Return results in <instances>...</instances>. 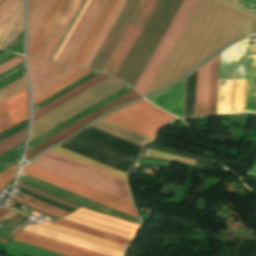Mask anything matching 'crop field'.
I'll list each match as a JSON object with an SVG mask.
<instances>
[{
    "label": "crop field",
    "instance_id": "crop-field-42",
    "mask_svg": "<svg viewBox=\"0 0 256 256\" xmlns=\"http://www.w3.org/2000/svg\"><path fill=\"white\" fill-rule=\"evenodd\" d=\"M18 165L19 164L0 173V189H2L9 181L12 180Z\"/></svg>",
    "mask_w": 256,
    "mask_h": 256
},
{
    "label": "crop field",
    "instance_id": "crop-field-21",
    "mask_svg": "<svg viewBox=\"0 0 256 256\" xmlns=\"http://www.w3.org/2000/svg\"><path fill=\"white\" fill-rule=\"evenodd\" d=\"M131 90H133V89L130 88L128 85L123 87L122 89L111 94L110 96L106 97L105 99L101 100L100 102L96 103L95 105L89 107L88 109L84 110L83 112L79 113L78 115L74 116L73 118L69 119L68 121L62 123L61 125L57 126L56 128L52 129L51 131L47 132L46 134H44V135L40 136L39 138L35 139L34 141L30 142L28 144L27 150L33 148L34 146L38 145L39 143L52 137L53 135L57 134L58 132L71 126L72 124L83 119L84 117H86L89 114L95 112L96 110L102 108L103 106L107 105L108 103L114 101L115 99L121 97L122 95L126 94L127 92H129Z\"/></svg>",
    "mask_w": 256,
    "mask_h": 256
},
{
    "label": "crop field",
    "instance_id": "crop-field-10",
    "mask_svg": "<svg viewBox=\"0 0 256 256\" xmlns=\"http://www.w3.org/2000/svg\"><path fill=\"white\" fill-rule=\"evenodd\" d=\"M62 219L132 240L138 225L79 208Z\"/></svg>",
    "mask_w": 256,
    "mask_h": 256
},
{
    "label": "crop field",
    "instance_id": "crop-field-50",
    "mask_svg": "<svg viewBox=\"0 0 256 256\" xmlns=\"http://www.w3.org/2000/svg\"><path fill=\"white\" fill-rule=\"evenodd\" d=\"M5 212H7V210H4V209L0 208V216H2Z\"/></svg>",
    "mask_w": 256,
    "mask_h": 256
},
{
    "label": "crop field",
    "instance_id": "crop-field-15",
    "mask_svg": "<svg viewBox=\"0 0 256 256\" xmlns=\"http://www.w3.org/2000/svg\"><path fill=\"white\" fill-rule=\"evenodd\" d=\"M23 27V0H5L0 5V47L5 48Z\"/></svg>",
    "mask_w": 256,
    "mask_h": 256
},
{
    "label": "crop field",
    "instance_id": "crop-field-28",
    "mask_svg": "<svg viewBox=\"0 0 256 256\" xmlns=\"http://www.w3.org/2000/svg\"><path fill=\"white\" fill-rule=\"evenodd\" d=\"M80 1L81 0H72L71 1L70 5L68 6L66 12L64 13L62 19L60 20L58 26L56 27L51 38L49 39L47 45L45 46L44 50L42 51V53L40 55L41 58L47 59L48 55L50 54L55 43L57 42L58 38L60 37L61 33L63 32V30L66 27L67 23L69 22L70 18L72 17V15H73L74 11L76 10L77 6L79 5Z\"/></svg>",
    "mask_w": 256,
    "mask_h": 256
},
{
    "label": "crop field",
    "instance_id": "crop-field-34",
    "mask_svg": "<svg viewBox=\"0 0 256 256\" xmlns=\"http://www.w3.org/2000/svg\"><path fill=\"white\" fill-rule=\"evenodd\" d=\"M25 76L23 62L0 74V88L12 83L13 81Z\"/></svg>",
    "mask_w": 256,
    "mask_h": 256
},
{
    "label": "crop field",
    "instance_id": "crop-field-16",
    "mask_svg": "<svg viewBox=\"0 0 256 256\" xmlns=\"http://www.w3.org/2000/svg\"><path fill=\"white\" fill-rule=\"evenodd\" d=\"M105 0H92L57 61L70 64Z\"/></svg>",
    "mask_w": 256,
    "mask_h": 256
},
{
    "label": "crop field",
    "instance_id": "crop-field-33",
    "mask_svg": "<svg viewBox=\"0 0 256 256\" xmlns=\"http://www.w3.org/2000/svg\"><path fill=\"white\" fill-rule=\"evenodd\" d=\"M24 142L0 155V172L20 160Z\"/></svg>",
    "mask_w": 256,
    "mask_h": 256
},
{
    "label": "crop field",
    "instance_id": "crop-field-18",
    "mask_svg": "<svg viewBox=\"0 0 256 256\" xmlns=\"http://www.w3.org/2000/svg\"><path fill=\"white\" fill-rule=\"evenodd\" d=\"M139 97H141V96L139 94H137L134 90L129 92L128 94H126V95L122 96L121 98L117 99L116 101L110 103L109 105L105 106L104 108L98 110L97 112L93 113L92 115L86 117L85 119L81 120L80 122L74 124L73 126L69 127L68 129L62 131L61 133L57 134L56 136L45 141L44 143L38 145L37 147L33 148L32 150L26 152L25 159H31L35 155H37L41 150H43L44 148L69 137L71 134H73L74 132L79 130L81 127H83L90 121L100 117L107 111H109L115 107H118L126 102L137 99Z\"/></svg>",
    "mask_w": 256,
    "mask_h": 256
},
{
    "label": "crop field",
    "instance_id": "crop-field-11",
    "mask_svg": "<svg viewBox=\"0 0 256 256\" xmlns=\"http://www.w3.org/2000/svg\"><path fill=\"white\" fill-rule=\"evenodd\" d=\"M33 95L67 77L80 67L27 58Z\"/></svg>",
    "mask_w": 256,
    "mask_h": 256
},
{
    "label": "crop field",
    "instance_id": "crop-field-23",
    "mask_svg": "<svg viewBox=\"0 0 256 256\" xmlns=\"http://www.w3.org/2000/svg\"><path fill=\"white\" fill-rule=\"evenodd\" d=\"M108 77L109 76H107L103 73L95 76L94 78L90 79L89 81L83 83L82 85L76 87L75 89L64 94L63 96L59 97L58 99L52 101L51 103L45 105L44 107L40 108L39 110L33 112L32 121L39 118L40 116L44 115L45 113L51 111L52 109L58 107L59 105L65 103L66 101L70 100L71 98L77 96L78 94L84 92L85 90L91 88L92 86L96 85L97 83L103 81L104 79H106Z\"/></svg>",
    "mask_w": 256,
    "mask_h": 256
},
{
    "label": "crop field",
    "instance_id": "crop-field-31",
    "mask_svg": "<svg viewBox=\"0 0 256 256\" xmlns=\"http://www.w3.org/2000/svg\"><path fill=\"white\" fill-rule=\"evenodd\" d=\"M49 222L56 223V224H59V225H62V226L68 227V228H72V229H75V230H78V231H81L84 233H88V234H91V235H94V236H97L100 238H104V239H107V240H110V241H113L116 243H120V244H123L126 246H128V244L130 243V240L123 239V238H120V237H117V236H114L111 234H107V233H104V232H101L98 230H94V229H91V228H88L85 226H81V225L69 222V221H65L62 219H57V220H53V221H49Z\"/></svg>",
    "mask_w": 256,
    "mask_h": 256
},
{
    "label": "crop field",
    "instance_id": "crop-field-38",
    "mask_svg": "<svg viewBox=\"0 0 256 256\" xmlns=\"http://www.w3.org/2000/svg\"><path fill=\"white\" fill-rule=\"evenodd\" d=\"M27 129L19 132L18 134L8 138L7 140L0 143V154L4 151L14 147L15 145L25 141Z\"/></svg>",
    "mask_w": 256,
    "mask_h": 256
},
{
    "label": "crop field",
    "instance_id": "crop-field-49",
    "mask_svg": "<svg viewBox=\"0 0 256 256\" xmlns=\"http://www.w3.org/2000/svg\"><path fill=\"white\" fill-rule=\"evenodd\" d=\"M248 173H249V174L256 175V163H255V165L250 169V171H249Z\"/></svg>",
    "mask_w": 256,
    "mask_h": 256
},
{
    "label": "crop field",
    "instance_id": "crop-field-7",
    "mask_svg": "<svg viewBox=\"0 0 256 256\" xmlns=\"http://www.w3.org/2000/svg\"><path fill=\"white\" fill-rule=\"evenodd\" d=\"M22 172L139 218L132 204L125 202L123 200L117 199L115 197L97 191L95 189L89 188L72 180L66 179L64 177H61L44 169L38 168L31 164L26 165Z\"/></svg>",
    "mask_w": 256,
    "mask_h": 256
},
{
    "label": "crop field",
    "instance_id": "crop-field-45",
    "mask_svg": "<svg viewBox=\"0 0 256 256\" xmlns=\"http://www.w3.org/2000/svg\"><path fill=\"white\" fill-rule=\"evenodd\" d=\"M18 54H15V53H11V52H8V51H5L3 49L0 50V64L8 61L9 59L17 56Z\"/></svg>",
    "mask_w": 256,
    "mask_h": 256
},
{
    "label": "crop field",
    "instance_id": "crop-field-32",
    "mask_svg": "<svg viewBox=\"0 0 256 256\" xmlns=\"http://www.w3.org/2000/svg\"><path fill=\"white\" fill-rule=\"evenodd\" d=\"M14 199L18 200V201H21L27 205H30L36 209H39L41 211H44L48 214H51V215H55V216H58V217H61L69 212L67 211H64V210H60V209H57L55 207H52V206H49L47 204H44L26 194H24V196L22 198L18 197V196H14Z\"/></svg>",
    "mask_w": 256,
    "mask_h": 256
},
{
    "label": "crop field",
    "instance_id": "crop-field-37",
    "mask_svg": "<svg viewBox=\"0 0 256 256\" xmlns=\"http://www.w3.org/2000/svg\"><path fill=\"white\" fill-rule=\"evenodd\" d=\"M27 88L26 78L23 77L12 84L0 89V102ZM20 93V92H19Z\"/></svg>",
    "mask_w": 256,
    "mask_h": 256
},
{
    "label": "crop field",
    "instance_id": "crop-field-14",
    "mask_svg": "<svg viewBox=\"0 0 256 256\" xmlns=\"http://www.w3.org/2000/svg\"><path fill=\"white\" fill-rule=\"evenodd\" d=\"M248 37L221 52L219 81H245Z\"/></svg>",
    "mask_w": 256,
    "mask_h": 256
},
{
    "label": "crop field",
    "instance_id": "crop-field-47",
    "mask_svg": "<svg viewBox=\"0 0 256 256\" xmlns=\"http://www.w3.org/2000/svg\"><path fill=\"white\" fill-rule=\"evenodd\" d=\"M15 215V213L13 212H7L5 215H3L1 218H0V222L2 220H9L11 217H13Z\"/></svg>",
    "mask_w": 256,
    "mask_h": 256
},
{
    "label": "crop field",
    "instance_id": "crop-field-5",
    "mask_svg": "<svg viewBox=\"0 0 256 256\" xmlns=\"http://www.w3.org/2000/svg\"><path fill=\"white\" fill-rule=\"evenodd\" d=\"M101 119L154 140L156 130L175 118L143 99Z\"/></svg>",
    "mask_w": 256,
    "mask_h": 256
},
{
    "label": "crop field",
    "instance_id": "crop-field-43",
    "mask_svg": "<svg viewBox=\"0 0 256 256\" xmlns=\"http://www.w3.org/2000/svg\"><path fill=\"white\" fill-rule=\"evenodd\" d=\"M21 61H23V58H22V56L19 55V56L15 57V58L9 60L8 62H6V63L0 65V73H1L2 71L6 70V69H8V68H10V67H12L13 65H15V64H17V63H19V62H21Z\"/></svg>",
    "mask_w": 256,
    "mask_h": 256
},
{
    "label": "crop field",
    "instance_id": "crop-field-29",
    "mask_svg": "<svg viewBox=\"0 0 256 256\" xmlns=\"http://www.w3.org/2000/svg\"><path fill=\"white\" fill-rule=\"evenodd\" d=\"M37 225L43 226V227H46V228H49V229H52V230H55V231H59V232H62V233H65V234H68V235H71V236H75V237H78V238H81V239H84V240H88V241H91V242H94V243H97V244H100V245H104V246H107V247H110V248H113V249H116V250H120V251H123V252L127 248L126 246L119 245V244H116V243H113V242H110V241H107V240H103V239H100V238H97V237H94V236H91V235H87V234H84V233H81V232H78V231H75V230H71V229H68V228H65V227H62V226H59V225H55V224H52V223H49V222H46V223H43V224H37Z\"/></svg>",
    "mask_w": 256,
    "mask_h": 256
},
{
    "label": "crop field",
    "instance_id": "crop-field-51",
    "mask_svg": "<svg viewBox=\"0 0 256 256\" xmlns=\"http://www.w3.org/2000/svg\"><path fill=\"white\" fill-rule=\"evenodd\" d=\"M228 1H230V2H231L232 0H228Z\"/></svg>",
    "mask_w": 256,
    "mask_h": 256
},
{
    "label": "crop field",
    "instance_id": "crop-field-1",
    "mask_svg": "<svg viewBox=\"0 0 256 256\" xmlns=\"http://www.w3.org/2000/svg\"><path fill=\"white\" fill-rule=\"evenodd\" d=\"M49 150L90 165L112 175L118 176L125 180L127 179L128 174L125 172L119 171L58 146H55ZM49 150L36 158L33 162H31V164L131 203L125 180L84 165L62 155L56 154Z\"/></svg>",
    "mask_w": 256,
    "mask_h": 256
},
{
    "label": "crop field",
    "instance_id": "crop-field-35",
    "mask_svg": "<svg viewBox=\"0 0 256 256\" xmlns=\"http://www.w3.org/2000/svg\"><path fill=\"white\" fill-rule=\"evenodd\" d=\"M6 245H8L12 248H15L19 251H22L26 254H29L31 256H61V255L51 253V252H48V251H45V250H42L39 248H35V247L29 246V245H26L23 243H19V242L13 241V240L6 243Z\"/></svg>",
    "mask_w": 256,
    "mask_h": 256
},
{
    "label": "crop field",
    "instance_id": "crop-field-20",
    "mask_svg": "<svg viewBox=\"0 0 256 256\" xmlns=\"http://www.w3.org/2000/svg\"><path fill=\"white\" fill-rule=\"evenodd\" d=\"M185 79L168 91L157 96L146 98L153 104L183 118Z\"/></svg>",
    "mask_w": 256,
    "mask_h": 256
},
{
    "label": "crop field",
    "instance_id": "crop-field-30",
    "mask_svg": "<svg viewBox=\"0 0 256 256\" xmlns=\"http://www.w3.org/2000/svg\"><path fill=\"white\" fill-rule=\"evenodd\" d=\"M90 72H92V70L82 68V69L78 70L77 72L73 73L72 75L68 76L67 78L56 83L55 85L51 86L50 88L46 89L45 91L33 96V105L39 103L40 101L51 96L52 94L63 89L64 87L70 85L71 83L82 78L83 76L87 75Z\"/></svg>",
    "mask_w": 256,
    "mask_h": 256
},
{
    "label": "crop field",
    "instance_id": "crop-field-44",
    "mask_svg": "<svg viewBox=\"0 0 256 256\" xmlns=\"http://www.w3.org/2000/svg\"><path fill=\"white\" fill-rule=\"evenodd\" d=\"M239 5L256 13V0H240Z\"/></svg>",
    "mask_w": 256,
    "mask_h": 256
},
{
    "label": "crop field",
    "instance_id": "crop-field-8",
    "mask_svg": "<svg viewBox=\"0 0 256 256\" xmlns=\"http://www.w3.org/2000/svg\"><path fill=\"white\" fill-rule=\"evenodd\" d=\"M158 1L144 0L142 2L102 72L115 77Z\"/></svg>",
    "mask_w": 256,
    "mask_h": 256
},
{
    "label": "crop field",
    "instance_id": "crop-field-39",
    "mask_svg": "<svg viewBox=\"0 0 256 256\" xmlns=\"http://www.w3.org/2000/svg\"><path fill=\"white\" fill-rule=\"evenodd\" d=\"M87 0H82L80 5L78 6L76 12L74 13L73 17L71 18L70 22L68 23L67 27L65 28L64 32L62 33L61 37L59 38L57 44L55 45L54 49L52 50L51 54L49 55L48 59L52 60L53 56L55 55L56 51L58 50L60 44L62 43L63 39L65 38L66 34L68 33L69 29L71 28L72 24L74 23L75 19L77 18L79 12L81 11L82 7L84 6Z\"/></svg>",
    "mask_w": 256,
    "mask_h": 256
},
{
    "label": "crop field",
    "instance_id": "crop-field-24",
    "mask_svg": "<svg viewBox=\"0 0 256 256\" xmlns=\"http://www.w3.org/2000/svg\"><path fill=\"white\" fill-rule=\"evenodd\" d=\"M90 127L98 129L105 133H108L110 135L116 136V137L126 140L128 142L134 143L141 147L153 142L150 139L142 137L138 134H135L133 132H130L128 130L120 128L118 126H115V125L108 123L106 121H103L101 119H99L96 122H94L93 124H91Z\"/></svg>",
    "mask_w": 256,
    "mask_h": 256
},
{
    "label": "crop field",
    "instance_id": "crop-field-17",
    "mask_svg": "<svg viewBox=\"0 0 256 256\" xmlns=\"http://www.w3.org/2000/svg\"><path fill=\"white\" fill-rule=\"evenodd\" d=\"M70 0H55L27 47V56H37Z\"/></svg>",
    "mask_w": 256,
    "mask_h": 256
},
{
    "label": "crop field",
    "instance_id": "crop-field-9",
    "mask_svg": "<svg viewBox=\"0 0 256 256\" xmlns=\"http://www.w3.org/2000/svg\"><path fill=\"white\" fill-rule=\"evenodd\" d=\"M220 54L199 68L195 117L216 114Z\"/></svg>",
    "mask_w": 256,
    "mask_h": 256
},
{
    "label": "crop field",
    "instance_id": "crop-field-52",
    "mask_svg": "<svg viewBox=\"0 0 256 256\" xmlns=\"http://www.w3.org/2000/svg\"><path fill=\"white\" fill-rule=\"evenodd\" d=\"M2 0H0V2H1Z\"/></svg>",
    "mask_w": 256,
    "mask_h": 256
},
{
    "label": "crop field",
    "instance_id": "crop-field-25",
    "mask_svg": "<svg viewBox=\"0 0 256 256\" xmlns=\"http://www.w3.org/2000/svg\"><path fill=\"white\" fill-rule=\"evenodd\" d=\"M53 0H27L28 3V43L45 16Z\"/></svg>",
    "mask_w": 256,
    "mask_h": 256
},
{
    "label": "crop field",
    "instance_id": "crop-field-12",
    "mask_svg": "<svg viewBox=\"0 0 256 256\" xmlns=\"http://www.w3.org/2000/svg\"><path fill=\"white\" fill-rule=\"evenodd\" d=\"M20 181L27 185H30L36 189H39L48 194H51L53 196L68 200V201L76 203V204H79L82 207H85V208H88V209H91L94 211H98V212H101V213H104V214H107V215H110V216H113V217H116V218H119L122 220H126L129 222L138 224V225L140 223V220L137 218H134V217L124 214L122 212L116 211L114 209H111L109 207H106L104 205L96 203V202L86 199L84 197L78 196L76 194H73L71 192L63 190L61 188H58V187L48 184L46 182L40 181L38 179H35V178L25 175L23 173L21 175Z\"/></svg>",
    "mask_w": 256,
    "mask_h": 256
},
{
    "label": "crop field",
    "instance_id": "crop-field-40",
    "mask_svg": "<svg viewBox=\"0 0 256 256\" xmlns=\"http://www.w3.org/2000/svg\"><path fill=\"white\" fill-rule=\"evenodd\" d=\"M147 153H148V156L150 157L174 160V161L183 162L191 165H194L195 163L194 160H190V159H186V158H182V157H178V156H174V155H170V154H166V153H162V152H158L150 149H148Z\"/></svg>",
    "mask_w": 256,
    "mask_h": 256
},
{
    "label": "crop field",
    "instance_id": "crop-field-13",
    "mask_svg": "<svg viewBox=\"0 0 256 256\" xmlns=\"http://www.w3.org/2000/svg\"><path fill=\"white\" fill-rule=\"evenodd\" d=\"M140 0H127L118 18L116 19L113 27L111 28L108 36L102 44L99 52L93 60L90 68L102 71L105 63L111 55L114 47L125 31L127 25L132 19L134 13L139 6Z\"/></svg>",
    "mask_w": 256,
    "mask_h": 256
},
{
    "label": "crop field",
    "instance_id": "crop-field-6",
    "mask_svg": "<svg viewBox=\"0 0 256 256\" xmlns=\"http://www.w3.org/2000/svg\"><path fill=\"white\" fill-rule=\"evenodd\" d=\"M198 1L199 0H184L182 6L180 7L178 13L176 14L174 20L172 21L170 27L168 28L166 34L161 40L159 46L157 47L155 53L153 54L134 88L140 94L145 95L147 89L156 76Z\"/></svg>",
    "mask_w": 256,
    "mask_h": 256
},
{
    "label": "crop field",
    "instance_id": "crop-field-19",
    "mask_svg": "<svg viewBox=\"0 0 256 256\" xmlns=\"http://www.w3.org/2000/svg\"><path fill=\"white\" fill-rule=\"evenodd\" d=\"M28 118L27 89L0 103V132Z\"/></svg>",
    "mask_w": 256,
    "mask_h": 256
},
{
    "label": "crop field",
    "instance_id": "crop-field-4",
    "mask_svg": "<svg viewBox=\"0 0 256 256\" xmlns=\"http://www.w3.org/2000/svg\"><path fill=\"white\" fill-rule=\"evenodd\" d=\"M126 84L108 78L33 122L31 140L93 105ZM30 140V141H31Z\"/></svg>",
    "mask_w": 256,
    "mask_h": 256
},
{
    "label": "crop field",
    "instance_id": "crop-field-3",
    "mask_svg": "<svg viewBox=\"0 0 256 256\" xmlns=\"http://www.w3.org/2000/svg\"><path fill=\"white\" fill-rule=\"evenodd\" d=\"M24 230L37 233L58 241H62L83 249H87L105 256H123L124 253L88 241L71 237L36 225L27 226ZM22 230L13 240L39 247L64 256H102L87 250H83L62 242H58L37 234Z\"/></svg>",
    "mask_w": 256,
    "mask_h": 256
},
{
    "label": "crop field",
    "instance_id": "crop-field-41",
    "mask_svg": "<svg viewBox=\"0 0 256 256\" xmlns=\"http://www.w3.org/2000/svg\"><path fill=\"white\" fill-rule=\"evenodd\" d=\"M19 186H21V187H23V188H25V189H28V190H30V191L36 193V194H39V195H41V196H43V197H45V198H47V199L53 200V201H55V202L61 203V204H63V205L69 206V207H71V208L76 209L77 207H79V205H76V204L67 202V201H65V200H62V199L53 197V196L48 195V194H46V193H44V192H41V191H39V190H36V189H34V188L30 187V186H27V185H25V184H23V183H19Z\"/></svg>",
    "mask_w": 256,
    "mask_h": 256
},
{
    "label": "crop field",
    "instance_id": "crop-field-27",
    "mask_svg": "<svg viewBox=\"0 0 256 256\" xmlns=\"http://www.w3.org/2000/svg\"><path fill=\"white\" fill-rule=\"evenodd\" d=\"M125 0H118L116 6L114 7L112 13L110 14L109 18L107 19L105 25L103 26L102 30L100 31L98 37L96 38L95 42L93 43L91 49L89 50L88 54L86 55L84 61L82 62L81 66L89 68L92 60L94 59L96 53L98 52L101 44L103 43L106 35L108 34L110 28L112 27L115 19L117 18L119 12L121 11ZM126 4V3H125Z\"/></svg>",
    "mask_w": 256,
    "mask_h": 256
},
{
    "label": "crop field",
    "instance_id": "crop-field-48",
    "mask_svg": "<svg viewBox=\"0 0 256 256\" xmlns=\"http://www.w3.org/2000/svg\"><path fill=\"white\" fill-rule=\"evenodd\" d=\"M4 208H6V209H8V210H11V211H13V212H15V213H18V214H20V215H23V216H25V217L28 216V215H26V214H24V213H22V212H20V211H18V210H16V209L10 207V206H8V205H6Z\"/></svg>",
    "mask_w": 256,
    "mask_h": 256
},
{
    "label": "crop field",
    "instance_id": "crop-field-2",
    "mask_svg": "<svg viewBox=\"0 0 256 256\" xmlns=\"http://www.w3.org/2000/svg\"><path fill=\"white\" fill-rule=\"evenodd\" d=\"M183 0H160L116 78L133 88Z\"/></svg>",
    "mask_w": 256,
    "mask_h": 256
},
{
    "label": "crop field",
    "instance_id": "crop-field-22",
    "mask_svg": "<svg viewBox=\"0 0 256 256\" xmlns=\"http://www.w3.org/2000/svg\"><path fill=\"white\" fill-rule=\"evenodd\" d=\"M116 2H117V0H106L100 13L98 14L92 27L90 28L87 36L85 37L83 43L81 44L79 50L77 51L75 57L73 58V60L71 62L72 65L80 66L81 62L83 61L85 55L87 54L88 50L90 49L92 43L94 42L95 38L97 37L99 31L101 30L102 26L104 25L106 19L108 18L109 14L111 13Z\"/></svg>",
    "mask_w": 256,
    "mask_h": 256
},
{
    "label": "crop field",
    "instance_id": "crop-field-36",
    "mask_svg": "<svg viewBox=\"0 0 256 256\" xmlns=\"http://www.w3.org/2000/svg\"><path fill=\"white\" fill-rule=\"evenodd\" d=\"M100 72L94 71L87 76L83 77L82 79L76 81L75 83L71 84L70 86L64 88L63 90L57 92L56 94L52 95L51 97L45 99L44 101L40 102L39 104L33 106V111L39 109L40 107L44 106L45 104L51 102L52 100L58 98L59 96L63 95L64 93L70 91L71 89L75 88L76 86L82 84L83 82L89 80L90 78L94 77L95 75L99 74Z\"/></svg>",
    "mask_w": 256,
    "mask_h": 256
},
{
    "label": "crop field",
    "instance_id": "crop-field-26",
    "mask_svg": "<svg viewBox=\"0 0 256 256\" xmlns=\"http://www.w3.org/2000/svg\"><path fill=\"white\" fill-rule=\"evenodd\" d=\"M244 112H256V56H248Z\"/></svg>",
    "mask_w": 256,
    "mask_h": 256
},
{
    "label": "crop field",
    "instance_id": "crop-field-46",
    "mask_svg": "<svg viewBox=\"0 0 256 256\" xmlns=\"http://www.w3.org/2000/svg\"><path fill=\"white\" fill-rule=\"evenodd\" d=\"M24 227H26V226L16 227V228L12 229L7 235L13 238V237H14L17 233H19Z\"/></svg>",
    "mask_w": 256,
    "mask_h": 256
}]
</instances>
